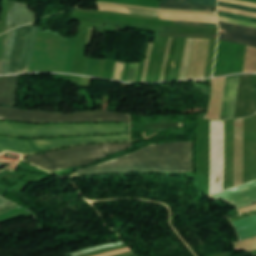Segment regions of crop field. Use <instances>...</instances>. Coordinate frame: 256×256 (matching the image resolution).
Returning a JSON list of instances; mask_svg holds the SVG:
<instances>
[{
	"label": "crop field",
	"mask_w": 256,
	"mask_h": 256,
	"mask_svg": "<svg viewBox=\"0 0 256 256\" xmlns=\"http://www.w3.org/2000/svg\"><path fill=\"white\" fill-rule=\"evenodd\" d=\"M134 170L192 171V141L149 145L131 155L82 170L78 175Z\"/></svg>",
	"instance_id": "crop-field-1"
},
{
	"label": "crop field",
	"mask_w": 256,
	"mask_h": 256,
	"mask_svg": "<svg viewBox=\"0 0 256 256\" xmlns=\"http://www.w3.org/2000/svg\"><path fill=\"white\" fill-rule=\"evenodd\" d=\"M132 147L131 143L84 145L26 157L50 172L93 163L109 154Z\"/></svg>",
	"instance_id": "crop-field-2"
},
{
	"label": "crop field",
	"mask_w": 256,
	"mask_h": 256,
	"mask_svg": "<svg viewBox=\"0 0 256 256\" xmlns=\"http://www.w3.org/2000/svg\"><path fill=\"white\" fill-rule=\"evenodd\" d=\"M129 133V124L29 125L0 122V134L19 137Z\"/></svg>",
	"instance_id": "crop-field-3"
},
{
	"label": "crop field",
	"mask_w": 256,
	"mask_h": 256,
	"mask_svg": "<svg viewBox=\"0 0 256 256\" xmlns=\"http://www.w3.org/2000/svg\"><path fill=\"white\" fill-rule=\"evenodd\" d=\"M130 114L94 110L78 114H62L45 111L26 112L16 108L0 107V119L27 122H75V121H126Z\"/></svg>",
	"instance_id": "crop-field-4"
},
{
	"label": "crop field",
	"mask_w": 256,
	"mask_h": 256,
	"mask_svg": "<svg viewBox=\"0 0 256 256\" xmlns=\"http://www.w3.org/2000/svg\"><path fill=\"white\" fill-rule=\"evenodd\" d=\"M129 140V135L84 138H58L39 140H18L0 137V153L4 151L32 154L84 143H105Z\"/></svg>",
	"instance_id": "crop-field-5"
},
{
	"label": "crop field",
	"mask_w": 256,
	"mask_h": 256,
	"mask_svg": "<svg viewBox=\"0 0 256 256\" xmlns=\"http://www.w3.org/2000/svg\"><path fill=\"white\" fill-rule=\"evenodd\" d=\"M33 24L17 28L7 74L28 72L38 33Z\"/></svg>",
	"instance_id": "crop-field-6"
},
{
	"label": "crop field",
	"mask_w": 256,
	"mask_h": 256,
	"mask_svg": "<svg viewBox=\"0 0 256 256\" xmlns=\"http://www.w3.org/2000/svg\"><path fill=\"white\" fill-rule=\"evenodd\" d=\"M256 113V93L253 75H241L235 118Z\"/></svg>",
	"instance_id": "crop-field-7"
},
{
	"label": "crop field",
	"mask_w": 256,
	"mask_h": 256,
	"mask_svg": "<svg viewBox=\"0 0 256 256\" xmlns=\"http://www.w3.org/2000/svg\"><path fill=\"white\" fill-rule=\"evenodd\" d=\"M212 198H224L239 207L256 202V181L226 190L214 195Z\"/></svg>",
	"instance_id": "crop-field-8"
},
{
	"label": "crop field",
	"mask_w": 256,
	"mask_h": 256,
	"mask_svg": "<svg viewBox=\"0 0 256 256\" xmlns=\"http://www.w3.org/2000/svg\"><path fill=\"white\" fill-rule=\"evenodd\" d=\"M219 25L220 29L227 30L226 33L220 31L219 39L256 47V29L221 22Z\"/></svg>",
	"instance_id": "crop-field-9"
},
{
	"label": "crop field",
	"mask_w": 256,
	"mask_h": 256,
	"mask_svg": "<svg viewBox=\"0 0 256 256\" xmlns=\"http://www.w3.org/2000/svg\"><path fill=\"white\" fill-rule=\"evenodd\" d=\"M240 75L227 77L221 119L233 118Z\"/></svg>",
	"instance_id": "crop-field-10"
},
{
	"label": "crop field",
	"mask_w": 256,
	"mask_h": 256,
	"mask_svg": "<svg viewBox=\"0 0 256 256\" xmlns=\"http://www.w3.org/2000/svg\"><path fill=\"white\" fill-rule=\"evenodd\" d=\"M19 75L0 77V105L14 106Z\"/></svg>",
	"instance_id": "crop-field-11"
},
{
	"label": "crop field",
	"mask_w": 256,
	"mask_h": 256,
	"mask_svg": "<svg viewBox=\"0 0 256 256\" xmlns=\"http://www.w3.org/2000/svg\"><path fill=\"white\" fill-rule=\"evenodd\" d=\"M34 17L35 13L30 10V5L19 4L16 2L11 29L33 22Z\"/></svg>",
	"instance_id": "crop-field-12"
},
{
	"label": "crop field",
	"mask_w": 256,
	"mask_h": 256,
	"mask_svg": "<svg viewBox=\"0 0 256 256\" xmlns=\"http://www.w3.org/2000/svg\"><path fill=\"white\" fill-rule=\"evenodd\" d=\"M233 224L237 227L241 240L256 235V216L233 222Z\"/></svg>",
	"instance_id": "crop-field-13"
},
{
	"label": "crop field",
	"mask_w": 256,
	"mask_h": 256,
	"mask_svg": "<svg viewBox=\"0 0 256 256\" xmlns=\"http://www.w3.org/2000/svg\"><path fill=\"white\" fill-rule=\"evenodd\" d=\"M161 18L162 19H171V20H185V21H200V22L217 23L216 16H210V15H188V14L161 13Z\"/></svg>",
	"instance_id": "crop-field-14"
},
{
	"label": "crop field",
	"mask_w": 256,
	"mask_h": 256,
	"mask_svg": "<svg viewBox=\"0 0 256 256\" xmlns=\"http://www.w3.org/2000/svg\"><path fill=\"white\" fill-rule=\"evenodd\" d=\"M15 30H16V28L9 31L7 42H6V47H5V51H4V55H3V59H2V64H1V68H0V74H6V72H7V67H8V63H9V58H10V53H11V49H12Z\"/></svg>",
	"instance_id": "crop-field-15"
},
{
	"label": "crop field",
	"mask_w": 256,
	"mask_h": 256,
	"mask_svg": "<svg viewBox=\"0 0 256 256\" xmlns=\"http://www.w3.org/2000/svg\"><path fill=\"white\" fill-rule=\"evenodd\" d=\"M160 8L180 9V10L216 11V7H212V6L186 5V4H166V3H160Z\"/></svg>",
	"instance_id": "crop-field-16"
},
{
	"label": "crop field",
	"mask_w": 256,
	"mask_h": 256,
	"mask_svg": "<svg viewBox=\"0 0 256 256\" xmlns=\"http://www.w3.org/2000/svg\"><path fill=\"white\" fill-rule=\"evenodd\" d=\"M167 3H187V4H203L216 6V0H162Z\"/></svg>",
	"instance_id": "crop-field-17"
},
{
	"label": "crop field",
	"mask_w": 256,
	"mask_h": 256,
	"mask_svg": "<svg viewBox=\"0 0 256 256\" xmlns=\"http://www.w3.org/2000/svg\"><path fill=\"white\" fill-rule=\"evenodd\" d=\"M238 249H247L249 251L255 250L256 249V237L245 240L239 243L234 244Z\"/></svg>",
	"instance_id": "crop-field-18"
},
{
	"label": "crop field",
	"mask_w": 256,
	"mask_h": 256,
	"mask_svg": "<svg viewBox=\"0 0 256 256\" xmlns=\"http://www.w3.org/2000/svg\"><path fill=\"white\" fill-rule=\"evenodd\" d=\"M99 10H104V11H112V12H120V13H130L127 8L123 7H112V6H105V5H99Z\"/></svg>",
	"instance_id": "crop-field-19"
},
{
	"label": "crop field",
	"mask_w": 256,
	"mask_h": 256,
	"mask_svg": "<svg viewBox=\"0 0 256 256\" xmlns=\"http://www.w3.org/2000/svg\"><path fill=\"white\" fill-rule=\"evenodd\" d=\"M121 244H123V242L117 243V244H111V245H104V246H100V247H96V248H91V249L83 250V251H80V252H77V253H72L71 256H77L79 254H86V253L101 250V249H104V248H107V247L119 246Z\"/></svg>",
	"instance_id": "crop-field-20"
},
{
	"label": "crop field",
	"mask_w": 256,
	"mask_h": 256,
	"mask_svg": "<svg viewBox=\"0 0 256 256\" xmlns=\"http://www.w3.org/2000/svg\"><path fill=\"white\" fill-rule=\"evenodd\" d=\"M218 19L221 22L232 23V24H237V25H242V26L256 28V24H254V23L242 22V21L231 20V19L220 18V17H218Z\"/></svg>",
	"instance_id": "crop-field-21"
},
{
	"label": "crop field",
	"mask_w": 256,
	"mask_h": 256,
	"mask_svg": "<svg viewBox=\"0 0 256 256\" xmlns=\"http://www.w3.org/2000/svg\"><path fill=\"white\" fill-rule=\"evenodd\" d=\"M138 64H131L128 82H137Z\"/></svg>",
	"instance_id": "crop-field-22"
},
{
	"label": "crop field",
	"mask_w": 256,
	"mask_h": 256,
	"mask_svg": "<svg viewBox=\"0 0 256 256\" xmlns=\"http://www.w3.org/2000/svg\"><path fill=\"white\" fill-rule=\"evenodd\" d=\"M218 10L225 11V12L236 13V14H241V15H246V16H251V17H256V14H254V13L244 12V11L225 8V7H220V6H218Z\"/></svg>",
	"instance_id": "crop-field-23"
},
{
	"label": "crop field",
	"mask_w": 256,
	"mask_h": 256,
	"mask_svg": "<svg viewBox=\"0 0 256 256\" xmlns=\"http://www.w3.org/2000/svg\"><path fill=\"white\" fill-rule=\"evenodd\" d=\"M14 3H15L14 1L9 0V11H8V14H7V21H6V26H5L4 32L10 29Z\"/></svg>",
	"instance_id": "crop-field-24"
},
{
	"label": "crop field",
	"mask_w": 256,
	"mask_h": 256,
	"mask_svg": "<svg viewBox=\"0 0 256 256\" xmlns=\"http://www.w3.org/2000/svg\"><path fill=\"white\" fill-rule=\"evenodd\" d=\"M175 23L185 25V26L218 28L217 24H204V23H191V22H175Z\"/></svg>",
	"instance_id": "crop-field-25"
},
{
	"label": "crop field",
	"mask_w": 256,
	"mask_h": 256,
	"mask_svg": "<svg viewBox=\"0 0 256 256\" xmlns=\"http://www.w3.org/2000/svg\"><path fill=\"white\" fill-rule=\"evenodd\" d=\"M218 5H220V6H225V7H230V8H235V9H240V10H245V11L256 12V9L247 8V7H242V6H237V5H232V4H227V3H221V2H219Z\"/></svg>",
	"instance_id": "crop-field-26"
},
{
	"label": "crop field",
	"mask_w": 256,
	"mask_h": 256,
	"mask_svg": "<svg viewBox=\"0 0 256 256\" xmlns=\"http://www.w3.org/2000/svg\"><path fill=\"white\" fill-rule=\"evenodd\" d=\"M218 15L225 16V17H230V18H235V19H240V20H245V21H250V22H255L256 23V19L236 16V15H230V14H225V13H220V12H218Z\"/></svg>",
	"instance_id": "crop-field-27"
},
{
	"label": "crop field",
	"mask_w": 256,
	"mask_h": 256,
	"mask_svg": "<svg viewBox=\"0 0 256 256\" xmlns=\"http://www.w3.org/2000/svg\"><path fill=\"white\" fill-rule=\"evenodd\" d=\"M219 1L228 2V3H234V4L247 5V6H251V7H255L256 8V4L255 3L235 1V0H219Z\"/></svg>",
	"instance_id": "crop-field-28"
},
{
	"label": "crop field",
	"mask_w": 256,
	"mask_h": 256,
	"mask_svg": "<svg viewBox=\"0 0 256 256\" xmlns=\"http://www.w3.org/2000/svg\"><path fill=\"white\" fill-rule=\"evenodd\" d=\"M120 64H122V63H120ZM120 64H119V67H118V62H117V63H116V66H115V72H114V77H113V79H115V80H118V79H119V73H120V67H121ZM117 67H118V73H117ZM123 69H124V64H122V68H121L120 81H122ZM116 73H117V78H118V79H116Z\"/></svg>",
	"instance_id": "crop-field-29"
},
{
	"label": "crop field",
	"mask_w": 256,
	"mask_h": 256,
	"mask_svg": "<svg viewBox=\"0 0 256 256\" xmlns=\"http://www.w3.org/2000/svg\"><path fill=\"white\" fill-rule=\"evenodd\" d=\"M127 251H130V250L128 248H123V249H119V250H116V251L108 252V253H105V254H102V255H98V256H113V255H117V254H120V253H123V252H127Z\"/></svg>",
	"instance_id": "crop-field-30"
},
{
	"label": "crop field",
	"mask_w": 256,
	"mask_h": 256,
	"mask_svg": "<svg viewBox=\"0 0 256 256\" xmlns=\"http://www.w3.org/2000/svg\"><path fill=\"white\" fill-rule=\"evenodd\" d=\"M123 247H126V246L123 245V246H119V247L108 248V249H104V250H101V251L93 252V253L86 254V255H79V256H92V255L104 253V252H107V251H111V250H115V249H119V248H123Z\"/></svg>",
	"instance_id": "crop-field-31"
},
{
	"label": "crop field",
	"mask_w": 256,
	"mask_h": 256,
	"mask_svg": "<svg viewBox=\"0 0 256 256\" xmlns=\"http://www.w3.org/2000/svg\"><path fill=\"white\" fill-rule=\"evenodd\" d=\"M255 208H256V204L252 205V206H248V207L242 208V209H239V211L244 213V212L250 211V210L255 209Z\"/></svg>",
	"instance_id": "crop-field-32"
},
{
	"label": "crop field",
	"mask_w": 256,
	"mask_h": 256,
	"mask_svg": "<svg viewBox=\"0 0 256 256\" xmlns=\"http://www.w3.org/2000/svg\"><path fill=\"white\" fill-rule=\"evenodd\" d=\"M16 207H18V206L15 205V204H13V205H11V206H9V207H6V208H4V209H1V210H0V214H2V213H4V212H7V211H9V210H11V209H14V208H16Z\"/></svg>",
	"instance_id": "crop-field-33"
},
{
	"label": "crop field",
	"mask_w": 256,
	"mask_h": 256,
	"mask_svg": "<svg viewBox=\"0 0 256 256\" xmlns=\"http://www.w3.org/2000/svg\"><path fill=\"white\" fill-rule=\"evenodd\" d=\"M252 215H256V212L251 213V214H247V215H244V216H241V217H238V218L231 219V222L236 221V220H240V219L252 216Z\"/></svg>",
	"instance_id": "crop-field-34"
},
{
	"label": "crop field",
	"mask_w": 256,
	"mask_h": 256,
	"mask_svg": "<svg viewBox=\"0 0 256 256\" xmlns=\"http://www.w3.org/2000/svg\"><path fill=\"white\" fill-rule=\"evenodd\" d=\"M10 204H11V203H9V202L6 201V202H4L3 204L0 205V209H1V208H4V207H6V206H8V205H10Z\"/></svg>",
	"instance_id": "crop-field-35"
},
{
	"label": "crop field",
	"mask_w": 256,
	"mask_h": 256,
	"mask_svg": "<svg viewBox=\"0 0 256 256\" xmlns=\"http://www.w3.org/2000/svg\"><path fill=\"white\" fill-rule=\"evenodd\" d=\"M130 254H133V251L123 253V254H120V255H117V256H126V255H130Z\"/></svg>",
	"instance_id": "crop-field-36"
},
{
	"label": "crop field",
	"mask_w": 256,
	"mask_h": 256,
	"mask_svg": "<svg viewBox=\"0 0 256 256\" xmlns=\"http://www.w3.org/2000/svg\"><path fill=\"white\" fill-rule=\"evenodd\" d=\"M244 1L256 2V0H244Z\"/></svg>",
	"instance_id": "crop-field-37"
},
{
	"label": "crop field",
	"mask_w": 256,
	"mask_h": 256,
	"mask_svg": "<svg viewBox=\"0 0 256 256\" xmlns=\"http://www.w3.org/2000/svg\"><path fill=\"white\" fill-rule=\"evenodd\" d=\"M4 201H5V200H3V199L0 198V203H2V202H4Z\"/></svg>",
	"instance_id": "crop-field-38"
},
{
	"label": "crop field",
	"mask_w": 256,
	"mask_h": 256,
	"mask_svg": "<svg viewBox=\"0 0 256 256\" xmlns=\"http://www.w3.org/2000/svg\"><path fill=\"white\" fill-rule=\"evenodd\" d=\"M130 256H136L135 254H133V255H130Z\"/></svg>",
	"instance_id": "crop-field-39"
},
{
	"label": "crop field",
	"mask_w": 256,
	"mask_h": 256,
	"mask_svg": "<svg viewBox=\"0 0 256 256\" xmlns=\"http://www.w3.org/2000/svg\"><path fill=\"white\" fill-rule=\"evenodd\" d=\"M255 78H256V75H255Z\"/></svg>",
	"instance_id": "crop-field-40"
},
{
	"label": "crop field",
	"mask_w": 256,
	"mask_h": 256,
	"mask_svg": "<svg viewBox=\"0 0 256 256\" xmlns=\"http://www.w3.org/2000/svg\"><path fill=\"white\" fill-rule=\"evenodd\" d=\"M1 171V170H0Z\"/></svg>",
	"instance_id": "crop-field-41"
}]
</instances>
